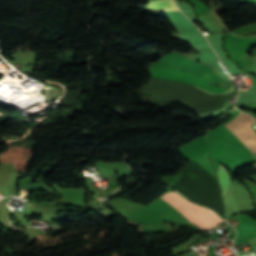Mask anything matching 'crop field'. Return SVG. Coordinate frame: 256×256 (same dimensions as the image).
I'll return each mask as SVG.
<instances>
[{
	"instance_id": "7",
	"label": "crop field",
	"mask_w": 256,
	"mask_h": 256,
	"mask_svg": "<svg viewBox=\"0 0 256 256\" xmlns=\"http://www.w3.org/2000/svg\"><path fill=\"white\" fill-rule=\"evenodd\" d=\"M116 188H118V186H109V187L106 189V192L104 193V197H103V198H106V196H107L110 192L114 191Z\"/></svg>"
},
{
	"instance_id": "4",
	"label": "crop field",
	"mask_w": 256,
	"mask_h": 256,
	"mask_svg": "<svg viewBox=\"0 0 256 256\" xmlns=\"http://www.w3.org/2000/svg\"><path fill=\"white\" fill-rule=\"evenodd\" d=\"M145 9L155 10L158 12L166 10H178L173 0H157L148 3Z\"/></svg>"
},
{
	"instance_id": "8",
	"label": "crop field",
	"mask_w": 256,
	"mask_h": 256,
	"mask_svg": "<svg viewBox=\"0 0 256 256\" xmlns=\"http://www.w3.org/2000/svg\"><path fill=\"white\" fill-rule=\"evenodd\" d=\"M100 194H101V190H100L99 194H98V195H96V196H97V197H99V196H100ZM99 201L101 202V200H99ZM97 202H98V201H97ZM97 202H96V203H97Z\"/></svg>"
},
{
	"instance_id": "10",
	"label": "crop field",
	"mask_w": 256,
	"mask_h": 256,
	"mask_svg": "<svg viewBox=\"0 0 256 256\" xmlns=\"http://www.w3.org/2000/svg\"><path fill=\"white\" fill-rule=\"evenodd\" d=\"M246 256H251V254H249V255H246Z\"/></svg>"
},
{
	"instance_id": "9",
	"label": "crop field",
	"mask_w": 256,
	"mask_h": 256,
	"mask_svg": "<svg viewBox=\"0 0 256 256\" xmlns=\"http://www.w3.org/2000/svg\"><path fill=\"white\" fill-rule=\"evenodd\" d=\"M250 2H252V3L256 4V0H252V1H250Z\"/></svg>"
},
{
	"instance_id": "5",
	"label": "crop field",
	"mask_w": 256,
	"mask_h": 256,
	"mask_svg": "<svg viewBox=\"0 0 256 256\" xmlns=\"http://www.w3.org/2000/svg\"><path fill=\"white\" fill-rule=\"evenodd\" d=\"M217 175H218V177L220 179V184H221V187H222V190H223V196H225L226 193L229 190V187H230L231 177L227 173L225 168H223L221 165L219 167Z\"/></svg>"
},
{
	"instance_id": "3",
	"label": "crop field",
	"mask_w": 256,
	"mask_h": 256,
	"mask_svg": "<svg viewBox=\"0 0 256 256\" xmlns=\"http://www.w3.org/2000/svg\"><path fill=\"white\" fill-rule=\"evenodd\" d=\"M150 75L158 78L187 82L195 84L197 87L207 90L211 93H219L224 91L223 88L208 86L203 80L190 74L163 69V68H150Z\"/></svg>"
},
{
	"instance_id": "6",
	"label": "crop field",
	"mask_w": 256,
	"mask_h": 256,
	"mask_svg": "<svg viewBox=\"0 0 256 256\" xmlns=\"http://www.w3.org/2000/svg\"><path fill=\"white\" fill-rule=\"evenodd\" d=\"M253 30H256V23L250 24V25H248V26H246V27H243V28L234 30V31H232V32L235 33V34H237V35H239V36H241V35H243V34H246V33H248V32H251V31H253Z\"/></svg>"
},
{
	"instance_id": "11",
	"label": "crop field",
	"mask_w": 256,
	"mask_h": 256,
	"mask_svg": "<svg viewBox=\"0 0 256 256\" xmlns=\"http://www.w3.org/2000/svg\"><path fill=\"white\" fill-rule=\"evenodd\" d=\"M246 1H249V0H246Z\"/></svg>"
},
{
	"instance_id": "1",
	"label": "crop field",
	"mask_w": 256,
	"mask_h": 256,
	"mask_svg": "<svg viewBox=\"0 0 256 256\" xmlns=\"http://www.w3.org/2000/svg\"><path fill=\"white\" fill-rule=\"evenodd\" d=\"M161 198L172 205L192 223L198 225L202 230L212 228L224 221L211 210L196 206L176 193H166Z\"/></svg>"
},
{
	"instance_id": "2",
	"label": "crop field",
	"mask_w": 256,
	"mask_h": 256,
	"mask_svg": "<svg viewBox=\"0 0 256 256\" xmlns=\"http://www.w3.org/2000/svg\"><path fill=\"white\" fill-rule=\"evenodd\" d=\"M255 120L243 113L237 118L233 119L224 125L230 132H232L245 146H247L253 153L256 152V133L250 125H253Z\"/></svg>"
}]
</instances>
